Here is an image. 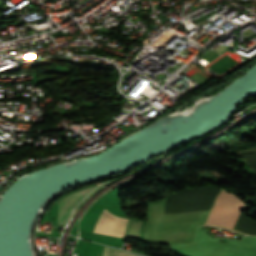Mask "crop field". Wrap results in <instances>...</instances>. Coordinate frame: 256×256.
Segmentation results:
<instances>
[{
	"label": "crop field",
	"mask_w": 256,
	"mask_h": 256,
	"mask_svg": "<svg viewBox=\"0 0 256 256\" xmlns=\"http://www.w3.org/2000/svg\"><path fill=\"white\" fill-rule=\"evenodd\" d=\"M244 205L236 196L222 190L206 224L233 229Z\"/></svg>",
	"instance_id": "8a807250"
},
{
	"label": "crop field",
	"mask_w": 256,
	"mask_h": 256,
	"mask_svg": "<svg viewBox=\"0 0 256 256\" xmlns=\"http://www.w3.org/2000/svg\"><path fill=\"white\" fill-rule=\"evenodd\" d=\"M94 188V186L86 188L60 200L58 204V225H66L71 216V209Z\"/></svg>",
	"instance_id": "ac0d7876"
},
{
	"label": "crop field",
	"mask_w": 256,
	"mask_h": 256,
	"mask_svg": "<svg viewBox=\"0 0 256 256\" xmlns=\"http://www.w3.org/2000/svg\"><path fill=\"white\" fill-rule=\"evenodd\" d=\"M141 223V220L128 219L124 237L135 235L140 238L139 230Z\"/></svg>",
	"instance_id": "34b2d1b8"
},
{
	"label": "crop field",
	"mask_w": 256,
	"mask_h": 256,
	"mask_svg": "<svg viewBox=\"0 0 256 256\" xmlns=\"http://www.w3.org/2000/svg\"><path fill=\"white\" fill-rule=\"evenodd\" d=\"M121 179V178H119ZM119 179H116V180H112V181H109L101 186H99L98 188L94 189L93 191H91L87 197L73 210V216L74 214L78 211V209L83 205L85 204L92 196H94L96 193H98L101 189L105 188L106 186L110 185L111 183L119 180Z\"/></svg>",
	"instance_id": "412701ff"
},
{
	"label": "crop field",
	"mask_w": 256,
	"mask_h": 256,
	"mask_svg": "<svg viewBox=\"0 0 256 256\" xmlns=\"http://www.w3.org/2000/svg\"><path fill=\"white\" fill-rule=\"evenodd\" d=\"M102 256H135V255L104 247Z\"/></svg>",
	"instance_id": "f4fd0767"
}]
</instances>
